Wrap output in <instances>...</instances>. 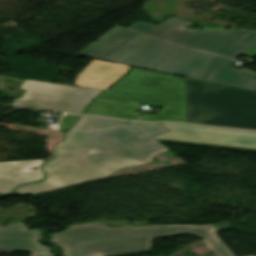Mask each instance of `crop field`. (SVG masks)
I'll list each match as a JSON object with an SVG mask.
<instances>
[{
	"instance_id": "crop-field-12",
	"label": "crop field",
	"mask_w": 256,
	"mask_h": 256,
	"mask_svg": "<svg viewBox=\"0 0 256 256\" xmlns=\"http://www.w3.org/2000/svg\"><path fill=\"white\" fill-rule=\"evenodd\" d=\"M128 69L129 66L93 59L77 76L75 85L106 89Z\"/></svg>"
},
{
	"instance_id": "crop-field-8",
	"label": "crop field",
	"mask_w": 256,
	"mask_h": 256,
	"mask_svg": "<svg viewBox=\"0 0 256 256\" xmlns=\"http://www.w3.org/2000/svg\"><path fill=\"white\" fill-rule=\"evenodd\" d=\"M27 90L13 105L80 113L102 91L56 83L25 80Z\"/></svg>"
},
{
	"instance_id": "crop-field-7",
	"label": "crop field",
	"mask_w": 256,
	"mask_h": 256,
	"mask_svg": "<svg viewBox=\"0 0 256 256\" xmlns=\"http://www.w3.org/2000/svg\"><path fill=\"white\" fill-rule=\"evenodd\" d=\"M170 131L154 136L158 141L256 152V132L161 123Z\"/></svg>"
},
{
	"instance_id": "crop-field-9",
	"label": "crop field",
	"mask_w": 256,
	"mask_h": 256,
	"mask_svg": "<svg viewBox=\"0 0 256 256\" xmlns=\"http://www.w3.org/2000/svg\"><path fill=\"white\" fill-rule=\"evenodd\" d=\"M40 231H28L23 223L2 226L0 224V250L32 251L31 256H53L49 247L41 245Z\"/></svg>"
},
{
	"instance_id": "crop-field-1",
	"label": "crop field",
	"mask_w": 256,
	"mask_h": 256,
	"mask_svg": "<svg viewBox=\"0 0 256 256\" xmlns=\"http://www.w3.org/2000/svg\"><path fill=\"white\" fill-rule=\"evenodd\" d=\"M167 131L160 123L81 117L66 132V140L56 145V157L41 167L46 179L15 192L31 195L51 191L152 162L154 155L169 151L152 136Z\"/></svg>"
},
{
	"instance_id": "crop-field-2",
	"label": "crop field",
	"mask_w": 256,
	"mask_h": 256,
	"mask_svg": "<svg viewBox=\"0 0 256 256\" xmlns=\"http://www.w3.org/2000/svg\"><path fill=\"white\" fill-rule=\"evenodd\" d=\"M229 222L206 226H161L108 228L92 223L70 226L53 234L52 241L65 256H118L149 251L153 238L183 233L201 237L215 256H234L216 236Z\"/></svg>"
},
{
	"instance_id": "crop-field-11",
	"label": "crop field",
	"mask_w": 256,
	"mask_h": 256,
	"mask_svg": "<svg viewBox=\"0 0 256 256\" xmlns=\"http://www.w3.org/2000/svg\"><path fill=\"white\" fill-rule=\"evenodd\" d=\"M43 161L0 162V194H11L20 184L42 180L44 175L38 167ZM33 167L37 170L31 171Z\"/></svg>"
},
{
	"instance_id": "crop-field-5",
	"label": "crop field",
	"mask_w": 256,
	"mask_h": 256,
	"mask_svg": "<svg viewBox=\"0 0 256 256\" xmlns=\"http://www.w3.org/2000/svg\"><path fill=\"white\" fill-rule=\"evenodd\" d=\"M187 123L256 130V92L185 78Z\"/></svg>"
},
{
	"instance_id": "crop-field-13",
	"label": "crop field",
	"mask_w": 256,
	"mask_h": 256,
	"mask_svg": "<svg viewBox=\"0 0 256 256\" xmlns=\"http://www.w3.org/2000/svg\"><path fill=\"white\" fill-rule=\"evenodd\" d=\"M77 115H67L65 116L62 121L58 124L60 126L59 130L64 131L68 129L72 123L77 119Z\"/></svg>"
},
{
	"instance_id": "crop-field-6",
	"label": "crop field",
	"mask_w": 256,
	"mask_h": 256,
	"mask_svg": "<svg viewBox=\"0 0 256 256\" xmlns=\"http://www.w3.org/2000/svg\"><path fill=\"white\" fill-rule=\"evenodd\" d=\"M190 23L170 17L157 27L141 22L131 29L173 43L233 58L256 43L255 31L184 29Z\"/></svg>"
},
{
	"instance_id": "crop-field-10",
	"label": "crop field",
	"mask_w": 256,
	"mask_h": 256,
	"mask_svg": "<svg viewBox=\"0 0 256 256\" xmlns=\"http://www.w3.org/2000/svg\"><path fill=\"white\" fill-rule=\"evenodd\" d=\"M233 60L213 55L202 79L256 91V74L231 68Z\"/></svg>"
},
{
	"instance_id": "crop-field-4",
	"label": "crop field",
	"mask_w": 256,
	"mask_h": 256,
	"mask_svg": "<svg viewBox=\"0 0 256 256\" xmlns=\"http://www.w3.org/2000/svg\"><path fill=\"white\" fill-rule=\"evenodd\" d=\"M80 55L197 79H201L212 57V54L157 41L119 26Z\"/></svg>"
},
{
	"instance_id": "crop-field-14",
	"label": "crop field",
	"mask_w": 256,
	"mask_h": 256,
	"mask_svg": "<svg viewBox=\"0 0 256 256\" xmlns=\"http://www.w3.org/2000/svg\"><path fill=\"white\" fill-rule=\"evenodd\" d=\"M241 55H246V56H251L254 57L256 56V44L247 49L245 52H243Z\"/></svg>"
},
{
	"instance_id": "crop-field-3",
	"label": "crop field",
	"mask_w": 256,
	"mask_h": 256,
	"mask_svg": "<svg viewBox=\"0 0 256 256\" xmlns=\"http://www.w3.org/2000/svg\"><path fill=\"white\" fill-rule=\"evenodd\" d=\"M141 104L164 106L160 115L144 114L140 121L186 123L184 78L132 68L127 76L103 93L84 114L138 120Z\"/></svg>"
}]
</instances>
